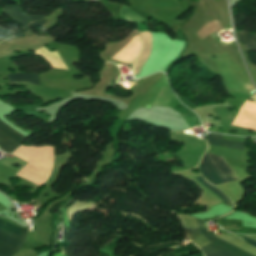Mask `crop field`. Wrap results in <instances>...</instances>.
<instances>
[{
	"label": "crop field",
	"instance_id": "412701ff",
	"mask_svg": "<svg viewBox=\"0 0 256 256\" xmlns=\"http://www.w3.org/2000/svg\"><path fill=\"white\" fill-rule=\"evenodd\" d=\"M24 138L0 123V149L3 151L12 152L22 143Z\"/></svg>",
	"mask_w": 256,
	"mask_h": 256
},
{
	"label": "crop field",
	"instance_id": "28ad6ade",
	"mask_svg": "<svg viewBox=\"0 0 256 256\" xmlns=\"http://www.w3.org/2000/svg\"><path fill=\"white\" fill-rule=\"evenodd\" d=\"M47 23L46 20H42V21H39V22H35V23H31L28 27H26L25 29H23V31H27L28 29H30L31 27H34V26H41L43 24Z\"/></svg>",
	"mask_w": 256,
	"mask_h": 256
},
{
	"label": "crop field",
	"instance_id": "34b2d1b8",
	"mask_svg": "<svg viewBox=\"0 0 256 256\" xmlns=\"http://www.w3.org/2000/svg\"><path fill=\"white\" fill-rule=\"evenodd\" d=\"M196 223H197V226H198L199 230L201 231V233L203 235L207 236L208 238H210V239H212V240H214L216 242H219L221 244H224L226 246H229L231 248H234V249H237L239 251H242L244 253H247L249 255L256 256L255 254H252L250 252H247V251L242 250V249H240L238 247H235L233 245H230L228 243H225V242H223L221 240H218V239L214 238L215 235L212 234V233H208L207 232V230H206V228H205V226H204L202 221L196 219ZM214 241H211L210 243H208V244H206V245H204L202 247H199L205 253V256H249L247 254H244L242 252L236 251L234 249H231L229 247H226V246L221 245L219 243H216Z\"/></svg>",
	"mask_w": 256,
	"mask_h": 256
},
{
	"label": "crop field",
	"instance_id": "d8731c3e",
	"mask_svg": "<svg viewBox=\"0 0 256 256\" xmlns=\"http://www.w3.org/2000/svg\"><path fill=\"white\" fill-rule=\"evenodd\" d=\"M238 40L242 42L248 50H256V35L239 31Z\"/></svg>",
	"mask_w": 256,
	"mask_h": 256
},
{
	"label": "crop field",
	"instance_id": "3316defc",
	"mask_svg": "<svg viewBox=\"0 0 256 256\" xmlns=\"http://www.w3.org/2000/svg\"><path fill=\"white\" fill-rule=\"evenodd\" d=\"M8 34L13 35L14 32L4 31V30L0 29V41L10 37Z\"/></svg>",
	"mask_w": 256,
	"mask_h": 256
},
{
	"label": "crop field",
	"instance_id": "ac0d7876",
	"mask_svg": "<svg viewBox=\"0 0 256 256\" xmlns=\"http://www.w3.org/2000/svg\"><path fill=\"white\" fill-rule=\"evenodd\" d=\"M0 229L20 235L22 228L0 219ZM3 230H0V256H12L22 246L27 230L23 228L21 236Z\"/></svg>",
	"mask_w": 256,
	"mask_h": 256
},
{
	"label": "crop field",
	"instance_id": "cbeb9de0",
	"mask_svg": "<svg viewBox=\"0 0 256 256\" xmlns=\"http://www.w3.org/2000/svg\"><path fill=\"white\" fill-rule=\"evenodd\" d=\"M35 54H39V52L36 50ZM40 55V54H39Z\"/></svg>",
	"mask_w": 256,
	"mask_h": 256
},
{
	"label": "crop field",
	"instance_id": "8a807250",
	"mask_svg": "<svg viewBox=\"0 0 256 256\" xmlns=\"http://www.w3.org/2000/svg\"><path fill=\"white\" fill-rule=\"evenodd\" d=\"M203 176L215 186L236 180L235 174L224 163L222 157L206 153L200 164Z\"/></svg>",
	"mask_w": 256,
	"mask_h": 256
},
{
	"label": "crop field",
	"instance_id": "dd49c442",
	"mask_svg": "<svg viewBox=\"0 0 256 256\" xmlns=\"http://www.w3.org/2000/svg\"><path fill=\"white\" fill-rule=\"evenodd\" d=\"M3 11L14 21L21 23L23 25L22 29L29 23L28 17L21 12L18 5L5 6Z\"/></svg>",
	"mask_w": 256,
	"mask_h": 256
},
{
	"label": "crop field",
	"instance_id": "d1516ede",
	"mask_svg": "<svg viewBox=\"0 0 256 256\" xmlns=\"http://www.w3.org/2000/svg\"><path fill=\"white\" fill-rule=\"evenodd\" d=\"M241 238L244 239L248 244L253 245V246L256 247V240L255 239H252V238L247 237V236L241 237Z\"/></svg>",
	"mask_w": 256,
	"mask_h": 256
},
{
	"label": "crop field",
	"instance_id": "e52e79f7",
	"mask_svg": "<svg viewBox=\"0 0 256 256\" xmlns=\"http://www.w3.org/2000/svg\"><path fill=\"white\" fill-rule=\"evenodd\" d=\"M10 83L11 82H30L39 86L38 74L29 73H17L12 75H7Z\"/></svg>",
	"mask_w": 256,
	"mask_h": 256
},
{
	"label": "crop field",
	"instance_id": "f4fd0767",
	"mask_svg": "<svg viewBox=\"0 0 256 256\" xmlns=\"http://www.w3.org/2000/svg\"><path fill=\"white\" fill-rule=\"evenodd\" d=\"M205 138L207 140V143L243 151L244 143L222 141L223 136L213 135V134H207Z\"/></svg>",
	"mask_w": 256,
	"mask_h": 256
},
{
	"label": "crop field",
	"instance_id": "22f410ed",
	"mask_svg": "<svg viewBox=\"0 0 256 256\" xmlns=\"http://www.w3.org/2000/svg\"><path fill=\"white\" fill-rule=\"evenodd\" d=\"M29 18L31 22L44 19V17H41V16H29Z\"/></svg>",
	"mask_w": 256,
	"mask_h": 256
},
{
	"label": "crop field",
	"instance_id": "5a996713",
	"mask_svg": "<svg viewBox=\"0 0 256 256\" xmlns=\"http://www.w3.org/2000/svg\"><path fill=\"white\" fill-rule=\"evenodd\" d=\"M196 180H198L201 184L209 188L211 191H213L220 199H222L225 204L230 205L233 207L232 202L228 199V197L223 194L220 190L213 187L211 184H209L206 180L203 179V177H194Z\"/></svg>",
	"mask_w": 256,
	"mask_h": 256
}]
</instances>
